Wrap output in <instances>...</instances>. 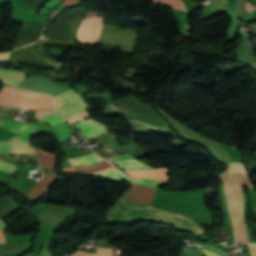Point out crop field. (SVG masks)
Returning <instances> with one entry per match:
<instances>
[{
    "label": "crop field",
    "instance_id": "obj_2",
    "mask_svg": "<svg viewBox=\"0 0 256 256\" xmlns=\"http://www.w3.org/2000/svg\"><path fill=\"white\" fill-rule=\"evenodd\" d=\"M109 223L131 224L139 220H148L170 224L180 231H189L195 236L205 231L190 218L135 202L121 199L109 213Z\"/></svg>",
    "mask_w": 256,
    "mask_h": 256
},
{
    "label": "crop field",
    "instance_id": "obj_20",
    "mask_svg": "<svg viewBox=\"0 0 256 256\" xmlns=\"http://www.w3.org/2000/svg\"><path fill=\"white\" fill-rule=\"evenodd\" d=\"M87 176H96L104 179H115L130 183V179L116 168L104 173L87 174Z\"/></svg>",
    "mask_w": 256,
    "mask_h": 256
},
{
    "label": "crop field",
    "instance_id": "obj_10",
    "mask_svg": "<svg viewBox=\"0 0 256 256\" xmlns=\"http://www.w3.org/2000/svg\"><path fill=\"white\" fill-rule=\"evenodd\" d=\"M0 153L12 155L34 154L33 147L17 137H13L8 142H0Z\"/></svg>",
    "mask_w": 256,
    "mask_h": 256
},
{
    "label": "crop field",
    "instance_id": "obj_27",
    "mask_svg": "<svg viewBox=\"0 0 256 256\" xmlns=\"http://www.w3.org/2000/svg\"><path fill=\"white\" fill-rule=\"evenodd\" d=\"M87 118H89V115H88V113L86 112V110H84V111H81V112H79V113H77V114H74V115H72V116H70V117H68V118H66L71 124H74V123H76V122H78V121H81V120H84V119H87Z\"/></svg>",
    "mask_w": 256,
    "mask_h": 256
},
{
    "label": "crop field",
    "instance_id": "obj_19",
    "mask_svg": "<svg viewBox=\"0 0 256 256\" xmlns=\"http://www.w3.org/2000/svg\"><path fill=\"white\" fill-rule=\"evenodd\" d=\"M24 76L25 74L22 72L0 69V78L13 85L24 80Z\"/></svg>",
    "mask_w": 256,
    "mask_h": 256
},
{
    "label": "crop field",
    "instance_id": "obj_6",
    "mask_svg": "<svg viewBox=\"0 0 256 256\" xmlns=\"http://www.w3.org/2000/svg\"><path fill=\"white\" fill-rule=\"evenodd\" d=\"M56 102V111L62 117H67L89 107L72 89L53 97Z\"/></svg>",
    "mask_w": 256,
    "mask_h": 256
},
{
    "label": "crop field",
    "instance_id": "obj_9",
    "mask_svg": "<svg viewBox=\"0 0 256 256\" xmlns=\"http://www.w3.org/2000/svg\"><path fill=\"white\" fill-rule=\"evenodd\" d=\"M156 190L157 188L133 184L123 198L150 206Z\"/></svg>",
    "mask_w": 256,
    "mask_h": 256
},
{
    "label": "crop field",
    "instance_id": "obj_8",
    "mask_svg": "<svg viewBox=\"0 0 256 256\" xmlns=\"http://www.w3.org/2000/svg\"><path fill=\"white\" fill-rule=\"evenodd\" d=\"M33 123L19 122L0 118V127L29 141L33 135Z\"/></svg>",
    "mask_w": 256,
    "mask_h": 256
},
{
    "label": "crop field",
    "instance_id": "obj_14",
    "mask_svg": "<svg viewBox=\"0 0 256 256\" xmlns=\"http://www.w3.org/2000/svg\"><path fill=\"white\" fill-rule=\"evenodd\" d=\"M125 172H127L131 178L168 179L167 168H157L153 170H130Z\"/></svg>",
    "mask_w": 256,
    "mask_h": 256
},
{
    "label": "crop field",
    "instance_id": "obj_34",
    "mask_svg": "<svg viewBox=\"0 0 256 256\" xmlns=\"http://www.w3.org/2000/svg\"><path fill=\"white\" fill-rule=\"evenodd\" d=\"M54 113L53 111H35V118Z\"/></svg>",
    "mask_w": 256,
    "mask_h": 256
},
{
    "label": "crop field",
    "instance_id": "obj_3",
    "mask_svg": "<svg viewBox=\"0 0 256 256\" xmlns=\"http://www.w3.org/2000/svg\"><path fill=\"white\" fill-rule=\"evenodd\" d=\"M86 7L73 8L66 11L51 23L46 34L45 41L73 43L78 25L84 19Z\"/></svg>",
    "mask_w": 256,
    "mask_h": 256
},
{
    "label": "crop field",
    "instance_id": "obj_35",
    "mask_svg": "<svg viewBox=\"0 0 256 256\" xmlns=\"http://www.w3.org/2000/svg\"><path fill=\"white\" fill-rule=\"evenodd\" d=\"M10 52L0 53V61H8Z\"/></svg>",
    "mask_w": 256,
    "mask_h": 256
},
{
    "label": "crop field",
    "instance_id": "obj_22",
    "mask_svg": "<svg viewBox=\"0 0 256 256\" xmlns=\"http://www.w3.org/2000/svg\"><path fill=\"white\" fill-rule=\"evenodd\" d=\"M52 129L57 137L59 144L62 141H64L72 131L71 128L65 122L57 126H54Z\"/></svg>",
    "mask_w": 256,
    "mask_h": 256
},
{
    "label": "crop field",
    "instance_id": "obj_18",
    "mask_svg": "<svg viewBox=\"0 0 256 256\" xmlns=\"http://www.w3.org/2000/svg\"><path fill=\"white\" fill-rule=\"evenodd\" d=\"M68 161L72 166H87L93 163L101 162L103 160L97 157L94 152H92L81 157L68 159Z\"/></svg>",
    "mask_w": 256,
    "mask_h": 256
},
{
    "label": "crop field",
    "instance_id": "obj_17",
    "mask_svg": "<svg viewBox=\"0 0 256 256\" xmlns=\"http://www.w3.org/2000/svg\"><path fill=\"white\" fill-rule=\"evenodd\" d=\"M35 151L37 153L41 169H52L57 155L36 148Z\"/></svg>",
    "mask_w": 256,
    "mask_h": 256
},
{
    "label": "crop field",
    "instance_id": "obj_24",
    "mask_svg": "<svg viewBox=\"0 0 256 256\" xmlns=\"http://www.w3.org/2000/svg\"><path fill=\"white\" fill-rule=\"evenodd\" d=\"M133 183L158 187L168 184L169 180H152V179H132Z\"/></svg>",
    "mask_w": 256,
    "mask_h": 256
},
{
    "label": "crop field",
    "instance_id": "obj_36",
    "mask_svg": "<svg viewBox=\"0 0 256 256\" xmlns=\"http://www.w3.org/2000/svg\"><path fill=\"white\" fill-rule=\"evenodd\" d=\"M255 7L246 2L245 11L251 13Z\"/></svg>",
    "mask_w": 256,
    "mask_h": 256
},
{
    "label": "crop field",
    "instance_id": "obj_7",
    "mask_svg": "<svg viewBox=\"0 0 256 256\" xmlns=\"http://www.w3.org/2000/svg\"><path fill=\"white\" fill-rule=\"evenodd\" d=\"M41 40L37 43L22 48L20 50L13 51L11 54L10 62H26V63H35L42 64L54 68H59V65L56 61L44 57L39 51V44Z\"/></svg>",
    "mask_w": 256,
    "mask_h": 256
},
{
    "label": "crop field",
    "instance_id": "obj_1",
    "mask_svg": "<svg viewBox=\"0 0 256 256\" xmlns=\"http://www.w3.org/2000/svg\"><path fill=\"white\" fill-rule=\"evenodd\" d=\"M225 190L227 205L232 223L235 244L248 243L243 215V186L253 189L244 163L231 161L228 169L219 174Z\"/></svg>",
    "mask_w": 256,
    "mask_h": 256
},
{
    "label": "crop field",
    "instance_id": "obj_15",
    "mask_svg": "<svg viewBox=\"0 0 256 256\" xmlns=\"http://www.w3.org/2000/svg\"><path fill=\"white\" fill-rule=\"evenodd\" d=\"M111 168H114L112 165L109 163L103 161L98 164L90 165L87 167H69V168H63L61 171L64 173H69V172H82V173H96V172H102V171H107Z\"/></svg>",
    "mask_w": 256,
    "mask_h": 256
},
{
    "label": "crop field",
    "instance_id": "obj_29",
    "mask_svg": "<svg viewBox=\"0 0 256 256\" xmlns=\"http://www.w3.org/2000/svg\"><path fill=\"white\" fill-rule=\"evenodd\" d=\"M248 250H249V253L251 256H256V244H251L249 246H247ZM209 256H220L212 251H208V250H205L203 249Z\"/></svg>",
    "mask_w": 256,
    "mask_h": 256
},
{
    "label": "crop field",
    "instance_id": "obj_33",
    "mask_svg": "<svg viewBox=\"0 0 256 256\" xmlns=\"http://www.w3.org/2000/svg\"><path fill=\"white\" fill-rule=\"evenodd\" d=\"M81 1H83V0H64L62 5L67 7V6L76 4V3H80Z\"/></svg>",
    "mask_w": 256,
    "mask_h": 256
},
{
    "label": "crop field",
    "instance_id": "obj_32",
    "mask_svg": "<svg viewBox=\"0 0 256 256\" xmlns=\"http://www.w3.org/2000/svg\"><path fill=\"white\" fill-rule=\"evenodd\" d=\"M132 157H130L128 154L125 156H115V157H110V158H106L108 161L113 162V161H119V160H125V159H131Z\"/></svg>",
    "mask_w": 256,
    "mask_h": 256
},
{
    "label": "crop field",
    "instance_id": "obj_28",
    "mask_svg": "<svg viewBox=\"0 0 256 256\" xmlns=\"http://www.w3.org/2000/svg\"><path fill=\"white\" fill-rule=\"evenodd\" d=\"M39 120H42L44 122H47L49 124H51L52 126L54 125H57L61 122H63L64 120L61 119L58 115L56 114H53V115H50V116H47V117H44V118H41Z\"/></svg>",
    "mask_w": 256,
    "mask_h": 256
},
{
    "label": "crop field",
    "instance_id": "obj_23",
    "mask_svg": "<svg viewBox=\"0 0 256 256\" xmlns=\"http://www.w3.org/2000/svg\"><path fill=\"white\" fill-rule=\"evenodd\" d=\"M71 256H112V249L98 247L95 253H87L76 250Z\"/></svg>",
    "mask_w": 256,
    "mask_h": 256
},
{
    "label": "crop field",
    "instance_id": "obj_21",
    "mask_svg": "<svg viewBox=\"0 0 256 256\" xmlns=\"http://www.w3.org/2000/svg\"><path fill=\"white\" fill-rule=\"evenodd\" d=\"M119 167H121L123 170H129V169H149L151 167L135 160H125V161H119L115 162Z\"/></svg>",
    "mask_w": 256,
    "mask_h": 256
},
{
    "label": "crop field",
    "instance_id": "obj_31",
    "mask_svg": "<svg viewBox=\"0 0 256 256\" xmlns=\"http://www.w3.org/2000/svg\"><path fill=\"white\" fill-rule=\"evenodd\" d=\"M5 227H6L5 222L3 221V219H0V229H5ZM4 231L5 230H0V243H5Z\"/></svg>",
    "mask_w": 256,
    "mask_h": 256
},
{
    "label": "crop field",
    "instance_id": "obj_11",
    "mask_svg": "<svg viewBox=\"0 0 256 256\" xmlns=\"http://www.w3.org/2000/svg\"><path fill=\"white\" fill-rule=\"evenodd\" d=\"M44 177L28 190L27 196L30 202L41 198L48 188L59 178L54 172L43 173Z\"/></svg>",
    "mask_w": 256,
    "mask_h": 256
},
{
    "label": "crop field",
    "instance_id": "obj_12",
    "mask_svg": "<svg viewBox=\"0 0 256 256\" xmlns=\"http://www.w3.org/2000/svg\"><path fill=\"white\" fill-rule=\"evenodd\" d=\"M46 24H24L19 38L16 40L13 49L25 44L32 43L39 39Z\"/></svg>",
    "mask_w": 256,
    "mask_h": 256
},
{
    "label": "crop field",
    "instance_id": "obj_4",
    "mask_svg": "<svg viewBox=\"0 0 256 256\" xmlns=\"http://www.w3.org/2000/svg\"><path fill=\"white\" fill-rule=\"evenodd\" d=\"M0 105L19 107L22 111L29 109L53 110V102L50 97L24 92L8 85H6L0 95Z\"/></svg>",
    "mask_w": 256,
    "mask_h": 256
},
{
    "label": "crop field",
    "instance_id": "obj_16",
    "mask_svg": "<svg viewBox=\"0 0 256 256\" xmlns=\"http://www.w3.org/2000/svg\"><path fill=\"white\" fill-rule=\"evenodd\" d=\"M29 242L0 245V256H18L29 248Z\"/></svg>",
    "mask_w": 256,
    "mask_h": 256
},
{
    "label": "crop field",
    "instance_id": "obj_5",
    "mask_svg": "<svg viewBox=\"0 0 256 256\" xmlns=\"http://www.w3.org/2000/svg\"><path fill=\"white\" fill-rule=\"evenodd\" d=\"M113 106L127 120H138L154 127L163 125L150 109L130 98H126Z\"/></svg>",
    "mask_w": 256,
    "mask_h": 256
},
{
    "label": "crop field",
    "instance_id": "obj_30",
    "mask_svg": "<svg viewBox=\"0 0 256 256\" xmlns=\"http://www.w3.org/2000/svg\"><path fill=\"white\" fill-rule=\"evenodd\" d=\"M0 169L13 174L16 168L15 166L0 159Z\"/></svg>",
    "mask_w": 256,
    "mask_h": 256
},
{
    "label": "crop field",
    "instance_id": "obj_13",
    "mask_svg": "<svg viewBox=\"0 0 256 256\" xmlns=\"http://www.w3.org/2000/svg\"><path fill=\"white\" fill-rule=\"evenodd\" d=\"M74 126L82 132L86 139L108 132L105 125L100 124L91 118L76 123Z\"/></svg>",
    "mask_w": 256,
    "mask_h": 256
},
{
    "label": "crop field",
    "instance_id": "obj_25",
    "mask_svg": "<svg viewBox=\"0 0 256 256\" xmlns=\"http://www.w3.org/2000/svg\"><path fill=\"white\" fill-rule=\"evenodd\" d=\"M156 3L168 5L175 9L187 11L186 6L182 0H151Z\"/></svg>",
    "mask_w": 256,
    "mask_h": 256
},
{
    "label": "crop field",
    "instance_id": "obj_26",
    "mask_svg": "<svg viewBox=\"0 0 256 256\" xmlns=\"http://www.w3.org/2000/svg\"><path fill=\"white\" fill-rule=\"evenodd\" d=\"M14 210L16 209L8 202L6 197L0 198V218H2L3 216L9 214Z\"/></svg>",
    "mask_w": 256,
    "mask_h": 256
}]
</instances>
